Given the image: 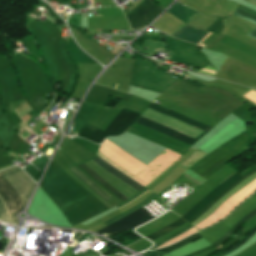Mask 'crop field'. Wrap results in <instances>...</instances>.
Returning a JSON list of instances; mask_svg holds the SVG:
<instances>
[{
    "label": "crop field",
    "instance_id": "8a807250",
    "mask_svg": "<svg viewBox=\"0 0 256 256\" xmlns=\"http://www.w3.org/2000/svg\"><path fill=\"white\" fill-rule=\"evenodd\" d=\"M5 179L11 184V186L19 194L24 205L26 204L35 183L33 180L19 167H11L7 170L0 172ZM0 174V184L8 191L11 196L18 212L23 209V204L15 192V190L9 185V183ZM0 185V220L8 223L16 224L18 213L13 202L11 201L7 191ZM17 225V224H16Z\"/></svg>",
    "mask_w": 256,
    "mask_h": 256
},
{
    "label": "crop field",
    "instance_id": "ac0d7876",
    "mask_svg": "<svg viewBox=\"0 0 256 256\" xmlns=\"http://www.w3.org/2000/svg\"><path fill=\"white\" fill-rule=\"evenodd\" d=\"M139 115V113L123 108L105 132L83 124L77 136L86 138L96 144H101L107 136L121 135L134 123Z\"/></svg>",
    "mask_w": 256,
    "mask_h": 256
},
{
    "label": "crop field",
    "instance_id": "34b2d1b8",
    "mask_svg": "<svg viewBox=\"0 0 256 256\" xmlns=\"http://www.w3.org/2000/svg\"><path fill=\"white\" fill-rule=\"evenodd\" d=\"M148 108H151V109H153V110H156V111L161 112V113H163V114H165V115H168V116H170V117H173V118L178 119V120H180V121H182V122H185V123H187V124H190V125H192V126H194V127H197V128H199V129H202V130L206 131V132H205L204 134H202L198 139H196L195 141H193V140H191V139H189V138H186V137L181 136V135H179V134H177V133H174V132H172V131H169V130H167V129H165V128H162V127H160V126H157V125H155V124H153V123H150V122H148V121H145V120H143V119H141V118H139L138 121L136 122V124H138V125H140V126H143V127L147 128V129H150V130H152V131H154V132H157V133H159V134H161V135H164V136H166V137H168V138H171V139H173V140H175V141H178V142H180V143H182V144H185V145H187V146H189V147H191L193 144H195L200 138H202L208 131L211 130V128H209V127H207V126H205V125H203V124H200V123H198V122H196V121H193V120H191V119H188V118H186V117H184V116H182V115H180V114H177V113H175V112H172V111H169V110H167V109H164V108H162V107H160V106H158V105H156V104L150 103L149 106H148Z\"/></svg>",
    "mask_w": 256,
    "mask_h": 256
},
{
    "label": "crop field",
    "instance_id": "412701ff",
    "mask_svg": "<svg viewBox=\"0 0 256 256\" xmlns=\"http://www.w3.org/2000/svg\"><path fill=\"white\" fill-rule=\"evenodd\" d=\"M256 172V169L252 170L251 172L247 173L246 175H244V177L240 178L241 174L239 173H234L232 176H230L227 180H225L222 184H220L217 188H215L212 192H210L206 197H204L200 202H198L190 211H188L182 218H184L185 220H189L190 218H192L198 211H200L209 201H211L213 198H215L217 195H219L222 191H224L227 187H229L233 182H235L234 184H232L229 188H227L223 193H221L218 197H216L215 199H213L211 202H209L199 213H197L192 219H190L188 222H193L195 219L199 218L201 215H203L209 208H211L215 202L221 198L224 194H226L230 189H232L234 186H236L238 183H240L241 181H243L244 179H246L248 176H250L252 173Z\"/></svg>",
    "mask_w": 256,
    "mask_h": 256
},
{
    "label": "crop field",
    "instance_id": "f4fd0767",
    "mask_svg": "<svg viewBox=\"0 0 256 256\" xmlns=\"http://www.w3.org/2000/svg\"><path fill=\"white\" fill-rule=\"evenodd\" d=\"M152 219L149 213L140 208L139 210L127 215L123 219L97 231L96 233L105 235L107 237L115 233H124L127 232L145 222Z\"/></svg>",
    "mask_w": 256,
    "mask_h": 256
},
{
    "label": "crop field",
    "instance_id": "dd49c442",
    "mask_svg": "<svg viewBox=\"0 0 256 256\" xmlns=\"http://www.w3.org/2000/svg\"><path fill=\"white\" fill-rule=\"evenodd\" d=\"M164 9L151 2L145 0L128 14L125 15L130 23V28L135 29L146 26L152 19L160 14Z\"/></svg>",
    "mask_w": 256,
    "mask_h": 256
},
{
    "label": "crop field",
    "instance_id": "e52e79f7",
    "mask_svg": "<svg viewBox=\"0 0 256 256\" xmlns=\"http://www.w3.org/2000/svg\"><path fill=\"white\" fill-rule=\"evenodd\" d=\"M91 161H93L94 163H96L97 165H99L100 167H102L103 169H105L106 171L111 173L112 175L116 176L120 180L124 181L125 183H127L131 187L135 188L136 190L139 191L142 188H144V187L140 186L139 184L135 183L134 181H132L131 179L127 178L126 176H124L122 173L118 172L117 170H115L111 166L107 165L103 161L99 160L97 157L94 158ZM79 167L82 168L93 179H95L97 182H99L101 185H103L105 188H107L109 191H111L113 194H115L119 199H121L123 201H125L127 199L123 195H121L118 191H116L113 187H111L109 184H107L104 180H102L99 176H97L95 173H93L84 164L83 165H79Z\"/></svg>",
    "mask_w": 256,
    "mask_h": 256
},
{
    "label": "crop field",
    "instance_id": "d8731c3e",
    "mask_svg": "<svg viewBox=\"0 0 256 256\" xmlns=\"http://www.w3.org/2000/svg\"><path fill=\"white\" fill-rule=\"evenodd\" d=\"M210 32L201 30L195 27H191L188 25H183L180 27L175 33H173L171 36L192 42L194 44H198L204 37H206ZM212 32L205 38L207 39ZM203 39L199 45L205 40Z\"/></svg>",
    "mask_w": 256,
    "mask_h": 256
},
{
    "label": "crop field",
    "instance_id": "5a996713",
    "mask_svg": "<svg viewBox=\"0 0 256 256\" xmlns=\"http://www.w3.org/2000/svg\"><path fill=\"white\" fill-rule=\"evenodd\" d=\"M85 184H87L91 189L98 193L105 200L111 199L112 197L108 195L104 190H102L98 185H96L92 180H90L86 175H84L79 169L75 166L68 169Z\"/></svg>",
    "mask_w": 256,
    "mask_h": 256
},
{
    "label": "crop field",
    "instance_id": "3316defc",
    "mask_svg": "<svg viewBox=\"0 0 256 256\" xmlns=\"http://www.w3.org/2000/svg\"><path fill=\"white\" fill-rule=\"evenodd\" d=\"M172 15L180 19L182 22H186L189 20L193 15H195L197 12L190 10L188 8H185L180 5L174 4L169 10Z\"/></svg>",
    "mask_w": 256,
    "mask_h": 256
},
{
    "label": "crop field",
    "instance_id": "28ad6ade",
    "mask_svg": "<svg viewBox=\"0 0 256 256\" xmlns=\"http://www.w3.org/2000/svg\"><path fill=\"white\" fill-rule=\"evenodd\" d=\"M256 214V209L240 219L225 235H223L216 243L212 244L214 247L223 243L228 237H230L245 221L250 219Z\"/></svg>",
    "mask_w": 256,
    "mask_h": 256
},
{
    "label": "crop field",
    "instance_id": "d1516ede",
    "mask_svg": "<svg viewBox=\"0 0 256 256\" xmlns=\"http://www.w3.org/2000/svg\"><path fill=\"white\" fill-rule=\"evenodd\" d=\"M185 223H186V221H184V220L181 218V219L177 220L176 222H174V223H172V224H170V225H168V226H166V227H164V228L158 230L157 232H155V233H153V234H151V235H149V236H147V237H145V238H147V239L153 241V240H155L156 238H158V237H160V236H162V235H164V234H166V233H168V232H170V231H172V230H174V229H176V228L182 226V225L185 224Z\"/></svg>",
    "mask_w": 256,
    "mask_h": 256
},
{
    "label": "crop field",
    "instance_id": "22f410ed",
    "mask_svg": "<svg viewBox=\"0 0 256 256\" xmlns=\"http://www.w3.org/2000/svg\"><path fill=\"white\" fill-rule=\"evenodd\" d=\"M206 154L208 153L199 148L195 153H193L190 157L184 160L179 166L187 169Z\"/></svg>",
    "mask_w": 256,
    "mask_h": 256
},
{
    "label": "crop field",
    "instance_id": "cbeb9de0",
    "mask_svg": "<svg viewBox=\"0 0 256 256\" xmlns=\"http://www.w3.org/2000/svg\"><path fill=\"white\" fill-rule=\"evenodd\" d=\"M198 237L199 236H197L196 234H193V235H191V236H189V237H187V238H185V239H183V240H181V241H179V242H177L173 245H170V246L165 247V248L157 249V250H154V251H160V252L168 253V252H170L174 249H177V248H179L183 245H186V244L190 243L191 241L195 240Z\"/></svg>",
    "mask_w": 256,
    "mask_h": 256
},
{
    "label": "crop field",
    "instance_id": "5142ce71",
    "mask_svg": "<svg viewBox=\"0 0 256 256\" xmlns=\"http://www.w3.org/2000/svg\"><path fill=\"white\" fill-rule=\"evenodd\" d=\"M237 12H239V13H241V14H244V15H246V16H249V17H251V18H253V19H256V16L255 15H253V14H250V13H248V12H246V11H243V10H241V9H237ZM237 12H235L234 13V15H236V16H238V17H240V18H243V19H245V20H247V21H250V22H252V23H254V24H256V20H253V19H251V18H249V17H246V16H244V15H241V14H239V13H237ZM255 29H256V27H255ZM254 29V30H255ZM253 30V31H254ZM252 31V32H253ZM252 32H250L249 34H248V36H250V37H253V38H255L256 39V34H254V33H252Z\"/></svg>",
    "mask_w": 256,
    "mask_h": 256
},
{
    "label": "crop field",
    "instance_id": "d9b57169",
    "mask_svg": "<svg viewBox=\"0 0 256 256\" xmlns=\"http://www.w3.org/2000/svg\"><path fill=\"white\" fill-rule=\"evenodd\" d=\"M153 195H154V193H153L151 196H149L145 201H143L141 204L147 202ZM155 196H156V194H155L150 200H152ZM150 200H149V201H150ZM149 201H148V202H149ZM148 202H147V203H148ZM141 204H139L138 206H140ZM145 204H146V203H145ZM145 204L141 205L140 207L144 206ZM138 206H136V207H138ZM136 207H134V208H136ZM140 207H138V208H140ZM134 208H132V209H134ZM138 208H136V209H138ZM132 209H130V210H132ZM136 209H134V210H136ZM130 210H129V211H130ZM134 210H132V211H134ZM129 211H127V212H129ZM132 211H130V212H132ZM127 212H125V213H127ZM130 212H129V213H130ZM125 213H123V214H125ZM129 213H127V214H129ZM123 214H121V215H123ZM127 214H125V215H127ZM121 215H119V216H121ZM125 215H123V216H125ZM119 216H117V217H119ZM123 216H121V217H123ZM117 217L113 218L112 220L116 219ZM121 217H119V218H121ZM119 218H117L116 220H118ZM112 220H110V221H112ZM116 220H114V221H116ZM110 221H108V222H110ZM114 221H112V222H114ZM108 222H106V223H108ZM112 222H110V223H112ZM106 223H105V224H106ZM110 223H108V224H110ZM108 224H107V225H108Z\"/></svg>",
    "mask_w": 256,
    "mask_h": 256
},
{
    "label": "crop field",
    "instance_id": "733c2abd",
    "mask_svg": "<svg viewBox=\"0 0 256 256\" xmlns=\"http://www.w3.org/2000/svg\"><path fill=\"white\" fill-rule=\"evenodd\" d=\"M256 232V227L254 229H252L242 240H240V242L236 245H234L229 251L235 249L237 246H239L242 242L246 241L247 239H249L254 233ZM227 251V252H229Z\"/></svg>",
    "mask_w": 256,
    "mask_h": 256
},
{
    "label": "crop field",
    "instance_id": "4a817a6b",
    "mask_svg": "<svg viewBox=\"0 0 256 256\" xmlns=\"http://www.w3.org/2000/svg\"><path fill=\"white\" fill-rule=\"evenodd\" d=\"M148 189L144 188L141 191H139L138 193H136L134 196H132L131 198H129V200L123 202L122 204L118 205V208L124 206L125 204H127L128 202L134 200L136 197H138L139 195L143 194L144 192H146ZM149 191V190H148ZM139 198V197H138ZM137 199V198H136Z\"/></svg>",
    "mask_w": 256,
    "mask_h": 256
},
{
    "label": "crop field",
    "instance_id": "bc2a9ffb",
    "mask_svg": "<svg viewBox=\"0 0 256 256\" xmlns=\"http://www.w3.org/2000/svg\"><path fill=\"white\" fill-rule=\"evenodd\" d=\"M169 174H170V173H169ZM169 174H168V175H169ZM168 175H167V176H168ZM164 178H165V177H164ZM160 181H161V180H160ZM160 181H159V182H160ZM159 182H158V183H159ZM156 184H157V183H156ZM156 184H155V185H156ZM155 185H154V186H155ZM151 188H152V187H151Z\"/></svg>",
    "mask_w": 256,
    "mask_h": 256
},
{
    "label": "crop field",
    "instance_id": "214f88e0",
    "mask_svg": "<svg viewBox=\"0 0 256 256\" xmlns=\"http://www.w3.org/2000/svg\"><path fill=\"white\" fill-rule=\"evenodd\" d=\"M117 85H118V84H116L115 89L117 88Z\"/></svg>",
    "mask_w": 256,
    "mask_h": 256
},
{
    "label": "crop field",
    "instance_id": "92a150f3",
    "mask_svg": "<svg viewBox=\"0 0 256 256\" xmlns=\"http://www.w3.org/2000/svg\"><path fill=\"white\" fill-rule=\"evenodd\" d=\"M254 1H256V0H254Z\"/></svg>",
    "mask_w": 256,
    "mask_h": 256
}]
</instances>
